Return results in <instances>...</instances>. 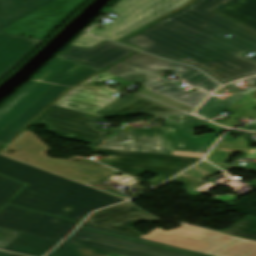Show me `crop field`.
Wrapping results in <instances>:
<instances>
[{
  "label": "crop field",
  "instance_id": "obj_41",
  "mask_svg": "<svg viewBox=\"0 0 256 256\" xmlns=\"http://www.w3.org/2000/svg\"><path fill=\"white\" fill-rule=\"evenodd\" d=\"M253 131H256V129H253Z\"/></svg>",
  "mask_w": 256,
  "mask_h": 256
},
{
  "label": "crop field",
  "instance_id": "obj_11",
  "mask_svg": "<svg viewBox=\"0 0 256 256\" xmlns=\"http://www.w3.org/2000/svg\"><path fill=\"white\" fill-rule=\"evenodd\" d=\"M0 203V208L3 206ZM78 222L8 205L0 212V227L63 240Z\"/></svg>",
  "mask_w": 256,
  "mask_h": 256
},
{
  "label": "crop field",
  "instance_id": "obj_27",
  "mask_svg": "<svg viewBox=\"0 0 256 256\" xmlns=\"http://www.w3.org/2000/svg\"><path fill=\"white\" fill-rule=\"evenodd\" d=\"M177 131H195V126L210 127L215 133H222L223 128L194 116H176Z\"/></svg>",
  "mask_w": 256,
  "mask_h": 256
},
{
  "label": "crop field",
  "instance_id": "obj_30",
  "mask_svg": "<svg viewBox=\"0 0 256 256\" xmlns=\"http://www.w3.org/2000/svg\"><path fill=\"white\" fill-rule=\"evenodd\" d=\"M170 98H173L177 101H180L182 103H185L189 106H192L194 108H196L204 98L197 96L195 94H192L186 90L180 89L178 91H175L171 94L166 95Z\"/></svg>",
  "mask_w": 256,
  "mask_h": 256
},
{
  "label": "crop field",
  "instance_id": "obj_23",
  "mask_svg": "<svg viewBox=\"0 0 256 256\" xmlns=\"http://www.w3.org/2000/svg\"><path fill=\"white\" fill-rule=\"evenodd\" d=\"M215 11L256 30V2L252 0H231Z\"/></svg>",
  "mask_w": 256,
  "mask_h": 256
},
{
  "label": "crop field",
  "instance_id": "obj_42",
  "mask_svg": "<svg viewBox=\"0 0 256 256\" xmlns=\"http://www.w3.org/2000/svg\"><path fill=\"white\" fill-rule=\"evenodd\" d=\"M188 238H190V237H188ZM188 238H187V239H188ZM185 240H186V239H185Z\"/></svg>",
  "mask_w": 256,
  "mask_h": 256
},
{
  "label": "crop field",
  "instance_id": "obj_1",
  "mask_svg": "<svg viewBox=\"0 0 256 256\" xmlns=\"http://www.w3.org/2000/svg\"><path fill=\"white\" fill-rule=\"evenodd\" d=\"M230 0H198L123 42L195 66L222 85L256 75V31L215 11ZM232 35L227 38L226 35Z\"/></svg>",
  "mask_w": 256,
  "mask_h": 256
},
{
  "label": "crop field",
  "instance_id": "obj_28",
  "mask_svg": "<svg viewBox=\"0 0 256 256\" xmlns=\"http://www.w3.org/2000/svg\"><path fill=\"white\" fill-rule=\"evenodd\" d=\"M214 256H256V242L242 239Z\"/></svg>",
  "mask_w": 256,
  "mask_h": 256
},
{
  "label": "crop field",
  "instance_id": "obj_38",
  "mask_svg": "<svg viewBox=\"0 0 256 256\" xmlns=\"http://www.w3.org/2000/svg\"><path fill=\"white\" fill-rule=\"evenodd\" d=\"M107 256H120V255L109 253Z\"/></svg>",
  "mask_w": 256,
  "mask_h": 256
},
{
  "label": "crop field",
  "instance_id": "obj_44",
  "mask_svg": "<svg viewBox=\"0 0 256 256\" xmlns=\"http://www.w3.org/2000/svg\"><path fill=\"white\" fill-rule=\"evenodd\" d=\"M254 1H256V0H254Z\"/></svg>",
  "mask_w": 256,
  "mask_h": 256
},
{
  "label": "crop field",
  "instance_id": "obj_33",
  "mask_svg": "<svg viewBox=\"0 0 256 256\" xmlns=\"http://www.w3.org/2000/svg\"><path fill=\"white\" fill-rule=\"evenodd\" d=\"M172 155H183V156H191V157H199V158H203L205 156V154H201V153L179 152V151H174Z\"/></svg>",
  "mask_w": 256,
  "mask_h": 256
},
{
  "label": "crop field",
  "instance_id": "obj_6",
  "mask_svg": "<svg viewBox=\"0 0 256 256\" xmlns=\"http://www.w3.org/2000/svg\"><path fill=\"white\" fill-rule=\"evenodd\" d=\"M17 146L21 147L18 148ZM47 149L48 146L39 137H37L34 133H28L24 134L12 147L7 149L2 154L11 157L19 155L16 157L19 160L59 173L83 184L92 185L125 198L123 195L94 183L101 178L113 174L111 170L83 164L70 163L64 161L63 159H53L46 155ZM11 151L16 153L13 155L8 154Z\"/></svg>",
  "mask_w": 256,
  "mask_h": 256
},
{
  "label": "crop field",
  "instance_id": "obj_18",
  "mask_svg": "<svg viewBox=\"0 0 256 256\" xmlns=\"http://www.w3.org/2000/svg\"><path fill=\"white\" fill-rule=\"evenodd\" d=\"M41 43V41L0 32V79Z\"/></svg>",
  "mask_w": 256,
  "mask_h": 256
},
{
  "label": "crop field",
  "instance_id": "obj_7",
  "mask_svg": "<svg viewBox=\"0 0 256 256\" xmlns=\"http://www.w3.org/2000/svg\"><path fill=\"white\" fill-rule=\"evenodd\" d=\"M191 0H121L114 8L120 16L103 29L94 28L90 35L117 41L144 28L158 18Z\"/></svg>",
  "mask_w": 256,
  "mask_h": 256
},
{
  "label": "crop field",
  "instance_id": "obj_4",
  "mask_svg": "<svg viewBox=\"0 0 256 256\" xmlns=\"http://www.w3.org/2000/svg\"><path fill=\"white\" fill-rule=\"evenodd\" d=\"M164 128L117 130L99 148L171 155L173 150L207 153L220 134L176 132L175 116H164Z\"/></svg>",
  "mask_w": 256,
  "mask_h": 256
},
{
  "label": "crop field",
  "instance_id": "obj_12",
  "mask_svg": "<svg viewBox=\"0 0 256 256\" xmlns=\"http://www.w3.org/2000/svg\"><path fill=\"white\" fill-rule=\"evenodd\" d=\"M193 109L141 87L139 93L117 100L96 113L95 116L110 119L135 113L153 116L190 114Z\"/></svg>",
  "mask_w": 256,
  "mask_h": 256
},
{
  "label": "crop field",
  "instance_id": "obj_26",
  "mask_svg": "<svg viewBox=\"0 0 256 256\" xmlns=\"http://www.w3.org/2000/svg\"><path fill=\"white\" fill-rule=\"evenodd\" d=\"M108 253L69 243H62L47 256H106Z\"/></svg>",
  "mask_w": 256,
  "mask_h": 256
},
{
  "label": "crop field",
  "instance_id": "obj_29",
  "mask_svg": "<svg viewBox=\"0 0 256 256\" xmlns=\"http://www.w3.org/2000/svg\"><path fill=\"white\" fill-rule=\"evenodd\" d=\"M253 102L251 105H249L247 108L239 112L238 114L234 115L232 118L228 119L226 122H224L222 125L229 126L233 122H235V119L240 117L241 115L245 114L246 112L250 111L251 109L256 107V91L241 98L239 101L234 103L232 106H230L226 111L230 113H235L245 105H247L249 102Z\"/></svg>",
  "mask_w": 256,
  "mask_h": 256
},
{
  "label": "crop field",
  "instance_id": "obj_8",
  "mask_svg": "<svg viewBox=\"0 0 256 256\" xmlns=\"http://www.w3.org/2000/svg\"><path fill=\"white\" fill-rule=\"evenodd\" d=\"M90 149L91 152L109 156L108 158L103 160L102 163L128 175H131L135 178H138L141 174L145 172L155 174L157 177L146 182L152 186L160 184L162 180L169 179L178 172L201 160L198 158L182 156H166L141 152L116 151L93 148Z\"/></svg>",
  "mask_w": 256,
  "mask_h": 256
},
{
  "label": "crop field",
  "instance_id": "obj_3",
  "mask_svg": "<svg viewBox=\"0 0 256 256\" xmlns=\"http://www.w3.org/2000/svg\"><path fill=\"white\" fill-rule=\"evenodd\" d=\"M99 72L57 56L0 108V143L6 144L68 89Z\"/></svg>",
  "mask_w": 256,
  "mask_h": 256
},
{
  "label": "crop field",
  "instance_id": "obj_25",
  "mask_svg": "<svg viewBox=\"0 0 256 256\" xmlns=\"http://www.w3.org/2000/svg\"><path fill=\"white\" fill-rule=\"evenodd\" d=\"M222 233L256 241V217L249 216Z\"/></svg>",
  "mask_w": 256,
  "mask_h": 256
},
{
  "label": "crop field",
  "instance_id": "obj_36",
  "mask_svg": "<svg viewBox=\"0 0 256 256\" xmlns=\"http://www.w3.org/2000/svg\"><path fill=\"white\" fill-rule=\"evenodd\" d=\"M245 81L251 83V84H254L256 83V77L255 78H250V79H246Z\"/></svg>",
  "mask_w": 256,
  "mask_h": 256
},
{
  "label": "crop field",
  "instance_id": "obj_31",
  "mask_svg": "<svg viewBox=\"0 0 256 256\" xmlns=\"http://www.w3.org/2000/svg\"><path fill=\"white\" fill-rule=\"evenodd\" d=\"M87 30L88 29H85L78 37H76L71 42V44L81 46V47L90 48L94 45H97L99 43H102V42L106 41V40H102V39L87 36L86 35Z\"/></svg>",
  "mask_w": 256,
  "mask_h": 256
},
{
  "label": "crop field",
  "instance_id": "obj_5",
  "mask_svg": "<svg viewBox=\"0 0 256 256\" xmlns=\"http://www.w3.org/2000/svg\"><path fill=\"white\" fill-rule=\"evenodd\" d=\"M169 71L173 72L177 79L207 92L218 87L213 80L190 66L168 62L143 53H138L108 70L163 96L180 89L177 83L162 78ZM137 78L139 80H136Z\"/></svg>",
  "mask_w": 256,
  "mask_h": 256
},
{
  "label": "crop field",
  "instance_id": "obj_2",
  "mask_svg": "<svg viewBox=\"0 0 256 256\" xmlns=\"http://www.w3.org/2000/svg\"><path fill=\"white\" fill-rule=\"evenodd\" d=\"M0 174L29 185L8 204L78 222L92 210L126 201L3 155H0ZM24 187L0 176V202L7 203Z\"/></svg>",
  "mask_w": 256,
  "mask_h": 256
},
{
  "label": "crop field",
  "instance_id": "obj_14",
  "mask_svg": "<svg viewBox=\"0 0 256 256\" xmlns=\"http://www.w3.org/2000/svg\"><path fill=\"white\" fill-rule=\"evenodd\" d=\"M107 79H111L126 87L134 85L128 80L104 71L102 74L71 90L59 102H57L55 106L91 115L95 114L96 112L119 99L113 96L117 93V91L109 87H96L95 82Z\"/></svg>",
  "mask_w": 256,
  "mask_h": 256
},
{
  "label": "crop field",
  "instance_id": "obj_19",
  "mask_svg": "<svg viewBox=\"0 0 256 256\" xmlns=\"http://www.w3.org/2000/svg\"><path fill=\"white\" fill-rule=\"evenodd\" d=\"M54 0H0V31Z\"/></svg>",
  "mask_w": 256,
  "mask_h": 256
},
{
  "label": "crop field",
  "instance_id": "obj_40",
  "mask_svg": "<svg viewBox=\"0 0 256 256\" xmlns=\"http://www.w3.org/2000/svg\"><path fill=\"white\" fill-rule=\"evenodd\" d=\"M10 256H19V255H14V254H11Z\"/></svg>",
  "mask_w": 256,
  "mask_h": 256
},
{
  "label": "crop field",
  "instance_id": "obj_13",
  "mask_svg": "<svg viewBox=\"0 0 256 256\" xmlns=\"http://www.w3.org/2000/svg\"><path fill=\"white\" fill-rule=\"evenodd\" d=\"M86 1L88 0H55L3 31L44 41L65 18Z\"/></svg>",
  "mask_w": 256,
  "mask_h": 256
},
{
  "label": "crop field",
  "instance_id": "obj_17",
  "mask_svg": "<svg viewBox=\"0 0 256 256\" xmlns=\"http://www.w3.org/2000/svg\"><path fill=\"white\" fill-rule=\"evenodd\" d=\"M135 52L106 41L90 49L69 44L59 55L103 70Z\"/></svg>",
  "mask_w": 256,
  "mask_h": 256
},
{
  "label": "crop field",
  "instance_id": "obj_15",
  "mask_svg": "<svg viewBox=\"0 0 256 256\" xmlns=\"http://www.w3.org/2000/svg\"><path fill=\"white\" fill-rule=\"evenodd\" d=\"M188 236L192 238L185 241L184 239ZM142 238L178 246L208 255L240 239L187 225H184L176 230L172 229L168 232L157 228L144 235Z\"/></svg>",
  "mask_w": 256,
  "mask_h": 256
},
{
  "label": "crop field",
  "instance_id": "obj_16",
  "mask_svg": "<svg viewBox=\"0 0 256 256\" xmlns=\"http://www.w3.org/2000/svg\"><path fill=\"white\" fill-rule=\"evenodd\" d=\"M139 220L150 222L159 221L129 202H124L93 213L84 223L140 237L142 235L131 228Z\"/></svg>",
  "mask_w": 256,
  "mask_h": 256
},
{
  "label": "crop field",
  "instance_id": "obj_37",
  "mask_svg": "<svg viewBox=\"0 0 256 256\" xmlns=\"http://www.w3.org/2000/svg\"><path fill=\"white\" fill-rule=\"evenodd\" d=\"M9 255H10V253L0 251V256H9Z\"/></svg>",
  "mask_w": 256,
  "mask_h": 256
},
{
  "label": "crop field",
  "instance_id": "obj_22",
  "mask_svg": "<svg viewBox=\"0 0 256 256\" xmlns=\"http://www.w3.org/2000/svg\"><path fill=\"white\" fill-rule=\"evenodd\" d=\"M59 242L23 233L6 250L29 256H43Z\"/></svg>",
  "mask_w": 256,
  "mask_h": 256
},
{
  "label": "crop field",
  "instance_id": "obj_32",
  "mask_svg": "<svg viewBox=\"0 0 256 256\" xmlns=\"http://www.w3.org/2000/svg\"><path fill=\"white\" fill-rule=\"evenodd\" d=\"M22 233L0 228V249L5 250Z\"/></svg>",
  "mask_w": 256,
  "mask_h": 256
},
{
  "label": "crop field",
  "instance_id": "obj_24",
  "mask_svg": "<svg viewBox=\"0 0 256 256\" xmlns=\"http://www.w3.org/2000/svg\"><path fill=\"white\" fill-rule=\"evenodd\" d=\"M241 97L243 96L239 93L233 95L225 101L211 97L203 104V106L196 112V114L210 120Z\"/></svg>",
  "mask_w": 256,
  "mask_h": 256
},
{
  "label": "crop field",
  "instance_id": "obj_9",
  "mask_svg": "<svg viewBox=\"0 0 256 256\" xmlns=\"http://www.w3.org/2000/svg\"><path fill=\"white\" fill-rule=\"evenodd\" d=\"M80 227L116 235V236H121L129 239H134L142 242H147L155 245H160L200 256H208L200 253H196L193 251L141 239V238H136L132 236H128L125 234L117 233L114 231L106 230L103 228L95 227L92 225L84 224L82 223ZM64 242H69L77 245H82L94 249H99L107 252H112L120 255H125V256H192V255H187L179 252H174L94 231H89L85 229L78 228L76 231H74Z\"/></svg>",
  "mask_w": 256,
  "mask_h": 256
},
{
  "label": "crop field",
  "instance_id": "obj_20",
  "mask_svg": "<svg viewBox=\"0 0 256 256\" xmlns=\"http://www.w3.org/2000/svg\"><path fill=\"white\" fill-rule=\"evenodd\" d=\"M248 142L249 140L243 137L236 139L234 143L217 142L213 150L208 155L207 160L225 170L233 166L223 164L230 152L249 153L245 158L256 159V149L248 148L250 145ZM223 143L225 145H223ZM229 145L232 146L229 147ZM249 168H252L256 171V163L251 165ZM248 184L256 188V180H253Z\"/></svg>",
  "mask_w": 256,
  "mask_h": 256
},
{
  "label": "crop field",
  "instance_id": "obj_35",
  "mask_svg": "<svg viewBox=\"0 0 256 256\" xmlns=\"http://www.w3.org/2000/svg\"><path fill=\"white\" fill-rule=\"evenodd\" d=\"M192 93H195V94H197V95H200V96H202V97H204V98H206L208 95H206V93H204V92H201V91H199V90H197V91H195V92H192Z\"/></svg>",
  "mask_w": 256,
  "mask_h": 256
},
{
  "label": "crop field",
  "instance_id": "obj_34",
  "mask_svg": "<svg viewBox=\"0 0 256 256\" xmlns=\"http://www.w3.org/2000/svg\"><path fill=\"white\" fill-rule=\"evenodd\" d=\"M253 128H256V123H253L251 125H248V126H245L243 128H240V129H244V130H251Z\"/></svg>",
  "mask_w": 256,
  "mask_h": 256
},
{
  "label": "crop field",
  "instance_id": "obj_10",
  "mask_svg": "<svg viewBox=\"0 0 256 256\" xmlns=\"http://www.w3.org/2000/svg\"><path fill=\"white\" fill-rule=\"evenodd\" d=\"M105 119L91 115L53 106L29 127L36 124L47 126L44 131L64 139L79 140L91 144L89 147L96 148L108 135L117 129L110 131L100 130V126L93 125L95 121Z\"/></svg>",
  "mask_w": 256,
  "mask_h": 256
},
{
  "label": "crop field",
  "instance_id": "obj_39",
  "mask_svg": "<svg viewBox=\"0 0 256 256\" xmlns=\"http://www.w3.org/2000/svg\"><path fill=\"white\" fill-rule=\"evenodd\" d=\"M4 146V144H0V148H2Z\"/></svg>",
  "mask_w": 256,
  "mask_h": 256
},
{
  "label": "crop field",
  "instance_id": "obj_43",
  "mask_svg": "<svg viewBox=\"0 0 256 256\" xmlns=\"http://www.w3.org/2000/svg\"><path fill=\"white\" fill-rule=\"evenodd\" d=\"M254 86H256V84H254Z\"/></svg>",
  "mask_w": 256,
  "mask_h": 256
},
{
  "label": "crop field",
  "instance_id": "obj_21",
  "mask_svg": "<svg viewBox=\"0 0 256 256\" xmlns=\"http://www.w3.org/2000/svg\"><path fill=\"white\" fill-rule=\"evenodd\" d=\"M220 172H222L220 169L203 161L197 166L185 171L172 181L182 184L184 193L191 197H195L201 195V193L194 189L201 186L206 177H211Z\"/></svg>",
  "mask_w": 256,
  "mask_h": 256
}]
</instances>
